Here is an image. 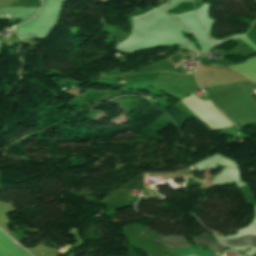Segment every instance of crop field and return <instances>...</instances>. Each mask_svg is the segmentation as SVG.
<instances>
[{"instance_id":"34b2d1b8","label":"crop field","mask_w":256,"mask_h":256,"mask_svg":"<svg viewBox=\"0 0 256 256\" xmlns=\"http://www.w3.org/2000/svg\"><path fill=\"white\" fill-rule=\"evenodd\" d=\"M179 256H185V255H193L196 254L197 256H212L204 251H201L195 247L176 250L175 251Z\"/></svg>"},{"instance_id":"8a807250","label":"crop field","mask_w":256,"mask_h":256,"mask_svg":"<svg viewBox=\"0 0 256 256\" xmlns=\"http://www.w3.org/2000/svg\"><path fill=\"white\" fill-rule=\"evenodd\" d=\"M228 246H256V237L254 236H245L242 238L236 239H226L223 240Z\"/></svg>"},{"instance_id":"412701ff","label":"crop field","mask_w":256,"mask_h":256,"mask_svg":"<svg viewBox=\"0 0 256 256\" xmlns=\"http://www.w3.org/2000/svg\"><path fill=\"white\" fill-rule=\"evenodd\" d=\"M193 242H199V243H204L206 245H211V246H214L220 250H222L223 252L226 251L224 247H222L220 244H216L208 239H205V238H197L195 237Z\"/></svg>"},{"instance_id":"ac0d7876","label":"crop field","mask_w":256,"mask_h":256,"mask_svg":"<svg viewBox=\"0 0 256 256\" xmlns=\"http://www.w3.org/2000/svg\"><path fill=\"white\" fill-rule=\"evenodd\" d=\"M154 240L163 244L166 247L185 246L189 244V243H186L183 238H178L175 236L161 237Z\"/></svg>"},{"instance_id":"f4fd0767","label":"crop field","mask_w":256,"mask_h":256,"mask_svg":"<svg viewBox=\"0 0 256 256\" xmlns=\"http://www.w3.org/2000/svg\"><path fill=\"white\" fill-rule=\"evenodd\" d=\"M249 94L255 99L256 101V93H254L253 91L252 92H249Z\"/></svg>"}]
</instances>
